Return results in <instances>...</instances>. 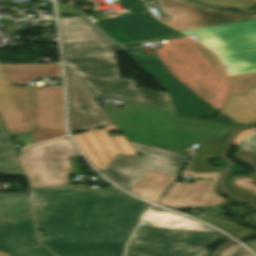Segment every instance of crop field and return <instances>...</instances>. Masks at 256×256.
Segmentation results:
<instances>
[{
	"instance_id": "obj_1",
	"label": "crop field",
	"mask_w": 256,
	"mask_h": 256,
	"mask_svg": "<svg viewBox=\"0 0 256 256\" xmlns=\"http://www.w3.org/2000/svg\"><path fill=\"white\" fill-rule=\"evenodd\" d=\"M39 237L58 256H123L140 215L150 206L123 192L71 186L30 189Z\"/></svg>"
},
{
	"instance_id": "obj_2",
	"label": "crop field",
	"mask_w": 256,
	"mask_h": 256,
	"mask_svg": "<svg viewBox=\"0 0 256 256\" xmlns=\"http://www.w3.org/2000/svg\"><path fill=\"white\" fill-rule=\"evenodd\" d=\"M64 63L92 94L174 106L168 93L134 87L135 80L119 78L115 51L121 46L99 32L85 17L59 18Z\"/></svg>"
},
{
	"instance_id": "obj_3",
	"label": "crop field",
	"mask_w": 256,
	"mask_h": 256,
	"mask_svg": "<svg viewBox=\"0 0 256 256\" xmlns=\"http://www.w3.org/2000/svg\"><path fill=\"white\" fill-rule=\"evenodd\" d=\"M61 77L60 64L0 65V115L9 132H33V143L66 135L62 86L11 87Z\"/></svg>"
},
{
	"instance_id": "obj_4",
	"label": "crop field",
	"mask_w": 256,
	"mask_h": 256,
	"mask_svg": "<svg viewBox=\"0 0 256 256\" xmlns=\"http://www.w3.org/2000/svg\"><path fill=\"white\" fill-rule=\"evenodd\" d=\"M106 114L126 139L180 153L205 137L221 140L232 127L174 118L177 110L127 102Z\"/></svg>"
},
{
	"instance_id": "obj_5",
	"label": "crop field",
	"mask_w": 256,
	"mask_h": 256,
	"mask_svg": "<svg viewBox=\"0 0 256 256\" xmlns=\"http://www.w3.org/2000/svg\"><path fill=\"white\" fill-rule=\"evenodd\" d=\"M156 58L194 93L221 111L230 92L227 76L215 56L192 39L165 41L156 53L138 56Z\"/></svg>"
},
{
	"instance_id": "obj_6",
	"label": "crop field",
	"mask_w": 256,
	"mask_h": 256,
	"mask_svg": "<svg viewBox=\"0 0 256 256\" xmlns=\"http://www.w3.org/2000/svg\"><path fill=\"white\" fill-rule=\"evenodd\" d=\"M195 34L229 66V75L256 71V19L182 31Z\"/></svg>"
},
{
	"instance_id": "obj_7",
	"label": "crop field",
	"mask_w": 256,
	"mask_h": 256,
	"mask_svg": "<svg viewBox=\"0 0 256 256\" xmlns=\"http://www.w3.org/2000/svg\"><path fill=\"white\" fill-rule=\"evenodd\" d=\"M27 193L0 194V250L10 256H55L38 242Z\"/></svg>"
},
{
	"instance_id": "obj_8",
	"label": "crop field",
	"mask_w": 256,
	"mask_h": 256,
	"mask_svg": "<svg viewBox=\"0 0 256 256\" xmlns=\"http://www.w3.org/2000/svg\"><path fill=\"white\" fill-rule=\"evenodd\" d=\"M130 143V142H129ZM143 156L119 155L102 172L118 185L130 189L148 170L178 177L189 156L131 142ZM182 165H179V164Z\"/></svg>"
},
{
	"instance_id": "obj_9",
	"label": "crop field",
	"mask_w": 256,
	"mask_h": 256,
	"mask_svg": "<svg viewBox=\"0 0 256 256\" xmlns=\"http://www.w3.org/2000/svg\"><path fill=\"white\" fill-rule=\"evenodd\" d=\"M69 157H80V154L68 137L26 148L23 160L29 186L66 184V174L71 173Z\"/></svg>"
},
{
	"instance_id": "obj_10",
	"label": "crop field",
	"mask_w": 256,
	"mask_h": 256,
	"mask_svg": "<svg viewBox=\"0 0 256 256\" xmlns=\"http://www.w3.org/2000/svg\"><path fill=\"white\" fill-rule=\"evenodd\" d=\"M130 14L113 18L98 20L95 23L110 38L119 43L146 40L179 33L156 22L145 5L140 0H120ZM145 11V13H141Z\"/></svg>"
},
{
	"instance_id": "obj_11",
	"label": "crop field",
	"mask_w": 256,
	"mask_h": 256,
	"mask_svg": "<svg viewBox=\"0 0 256 256\" xmlns=\"http://www.w3.org/2000/svg\"><path fill=\"white\" fill-rule=\"evenodd\" d=\"M124 51L169 91L175 107L179 110L175 117L195 120L194 116H211L214 112L215 109L212 106L172 76L159 59L142 62L126 49Z\"/></svg>"
},
{
	"instance_id": "obj_12",
	"label": "crop field",
	"mask_w": 256,
	"mask_h": 256,
	"mask_svg": "<svg viewBox=\"0 0 256 256\" xmlns=\"http://www.w3.org/2000/svg\"><path fill=\"white\" fill-rule=\"evenodd\" d=\"M161 10L173 18L167 25L181 31L185 29L222 24L256 18V15H242L238 13L198 7L184 0H156Z\"/></svg>"
},
{
	"instance_id": "obj_13",
	"label": "crop field",
	"mask_w": 256,
	"mask_h": 256,
	"mask_svg": "<svg viewBox=\"0 0 256 256\" xmlns=\"http://www.w3.org/2000/svg\"><path fill=\"white\" fill-rule=\"evenodd\" d=\"M65 70L71 134L112 124L72 71L66 66Z\"/></svg>"
},
{
	"instance_id": "obj_14",
	"label": "crop field",
	"mask_w": 256,
	"mask_h": 256,
	"mask_svg": "<svg viewBox=\"0 0 256 256\" xmlns=\"http://www.w3.org/2000/svg\"><path fill=\"white\" fill-rule=\"evenodd\" d=\"M113 130H118L114 124L105 126L104 130L94 129L73 136L87 158L100 170L118 154L138 155L124 136L111 137L107 133Z\"/></svg>"
},
{
	"instance_id": "obj_15",
	"label": "crop field",
	"mask_w": 256,
	"mask_h": 256,
	"mask_svg": "<svg viewBox=\"0 0 256 256\" xmlns=\"http://www.w3.org/2000/svg\"><path fill=\"white\" fill-rule=\"evenodd\" d=\"M220 236L213 233L139 226L131 240L205 249Z\"/></svg>"
},
{
	"instance_id": "obj_16",
	"label": "crop field",
	"mask_w": 256,
	"mask_h": 256,
	"mask_svg": "<svg viewBox=\"0 0 256 256\" xmlns=\"http://www.w3.org/2000/svg\"><path fill=\"white\" fill-rule=\"evenodd\" d=\"M217 179L209 181H197V183H176L159 203L165 206L208 205L215 206L223 201V198L214 193V184Z\"/></svg>"
},
{
	"instance_id": "obj_17",
	"label": "crop field",
	"mask_w": 256,
	"mask_h": 256,
	"mask_svg": "<svg viewBox=\"0 0 256 256\" xmlns=\"http://www.w3.org/2000/svg\"><path fill=\"white\" fill-rule=\"evenodd\" d=\"M219 115L237 124L256 121V85L246 95L229 97Z\"/></svg>"
},
{
	"instance_id": "obj_18",
	"label": "crop field",
	"mask_w": 256,
	"mask_h": 256,
	"mask_svg": "<svg viewBox=\"0 0 256 256\" xmlns=\"http://www.w3.org/2000/svg\"><path fill=\"white\" fill-rule=\"evenodd\" d=\"M141 221L146 222L145 226L218 233L193 220L157 208L147 211Z\"/></svg>"
},
{
	"instance_id": "obj_19",
	"label": "crop field",
	"mask_w": 256,
	"mask_h": 256,
	"mask_svg": "<svg viewBox=\"0 0 256 256\" xmlns=\"http://www.w3.org/2000/svg\"><path fill=\"white\" fill-rule=\"evenodd\" d=\"M132 247L126 256H208L207 250L142 242H129Z\"/></svg>"
},
{
	"instance_id": "obj_20",
	"label": "crop field",
	"mask_w": 256,
	"mask_h": 256,
	"mask_svg": "<svg viewBox=\"0 0 256 256\" xmlns=\"http://www.w3.org/2000/svg\"><path fill=\"white\" fill-rule=\"evenodd\" d=\"M175 179V177L149 171L129 191L150 201L157 202Z\"/></svg>"
},
{
	"instance_id": "obj_21",
	"label": "crop field",
	"mask_w": 256,
	"mask_h": 256,
	"mask_svg": "<svg viewBox=\"0 0 256 256\" xmlns=\"http://www.w3.org/2000/svg\"><path fill=\"white\" fill-rule=\"evenodd\" d=\"M0 173L7 175H24L11 141L0 121Z\"/></svg>"
},
{
	"instance_id": "obj_22",
	"label": "crop field",
	"mask_w": 256,
	"mask_h": 256,
	"mask_svg": "<svg viewBox=\"0 0 256 256\" xmlns=\"http://www.w3.org/2000/svg\"><path fill=\"white\" fill-rule=\"evenodd\" d=\"M223 142L205 140L194 153L192 162L187 168L195 173L220 171V168H211L201 162L203 155H216Z\"/></svg>"
},
{
	"instance_id": "obj_23",
	"label": "crop field",
	"mask_w": 256,
	"mask_h": 256,
	"mask_svg": "<svg viewBox=\"0 0 256 256\" xmlns=\"http://www.w3.org/2000/svg\"><path fill=\"white\" fill-rule=\"evenodd\" d=\"M229 77L232 85L230 96L246 94L256 84V73Z\"/></svg>"
},
{
	"instance_id": "obj_24",
	"label": "crop field",
	"mask_w": 256,
	"mask_h": 256,
	"mask_svg": "<svg viewBox=\"0 0 256 256\" xmlns=\"http://www.w3.org/2000/svg\"><path fill=\"white\" fill-rule=\"evenodd\" d=\"M192 215L222 229L223 231H225L233 236L255 232V230H253L251 228H243L234 223L219 221V220H215V219H211V218H207V217H203V216H199V215H195V214H192Z\"/></svg>"
},
{
	"instance_id": "obj_25",
	"label": "crop field",
	"mask_w": 256,
	"mask_h": 256,
	"mask_svg": "<svg viewBox=\"0 0 256 256\" xmlns=\"http://www.w3.org/2000/svg\"><path fill=\"white\" fill-rule=\"evenodd\" d=\"M233 144L256 154V128L252 127L242 131L236 136Z\"/></svg>"
},
{
	"instance_id": "obj_26",
	"label": "crop field",
	"mask_w": 256,
	"mask_h": 256,
	"mask_svg": "<svg viewBox=\"0 0 256 256\" xmlns=\"http://www.w3.org/2000/svg\"><path fill=\"white\" fill-rule=\"evenodd\" d=\"M233 184L256 194V175L234 176Z\"/></svg>"
},
{
	"instance_id": "obj_27",
	"label": "crop field",
	"mask_w": 256,
	"mask_h": 256,
	"mask_svg": "<svg viewBox=\"0 0 256 256\" xmlns=\"http://www.w3.org/2000/svg\"><path fill=\"white\" fill-rule=\"evenodd\" d=\"M209 3L247 8L256 3V0H204Z\"/></svg>"
},
{
	"instance_id": "obj_28",
	"label": "crop field",
	"mask_w": 256,
	"mask_h": 256,
	"mask_svg": "<svg viewBox=\"0 0 256 256\" xmlns=\"http://www.w3.org/2000/svg\"><path fill=\"white\" fill-rule=\"evenodd\" d=\"M235 157L237 160L250 165L256 174V155L239 148L235 152Z\"/></svg>"
},
{
	"instance_id": "obj_29",
	"label": "crop field",
	"mask_w": 256,
	"mask_h": 256,
	"mask_svg": "<svg viewBox=\"0 0 256 256\" xmlns=\"http://www.w3.org/2000/svg\"><path fill=\"white\" fill-rule=\"evenodd\" d=\"M220 256H252L246 250L238 245H233L222 251Z\"/></svg>"
},
{
	"instance_id": "obj_30",
	"label": "crop field",
	"mask_w": 256,
	"mask_h": 256,
	"mask_svg": "<svg viewBox=\"0 0 256 256\" xmlns=\"http://www.w3.org/2000/svg\"><path fill=\"white\" fill-rule=\"evenodd\" d=\"M226 186L233 193H235V194H237V195H239V196H241V197H243L245 199H248V200L256 203V195H254V194H252V193H250L248 191H245V190H243L241 188H238V187H236L234 185H231V184H227L226 183Z\"/></svg>"
},
{
	"instance_id": "obj_31",
	"label": "crop field",
	"mask_w": 256,
	"mask_h": 256,
	"mask_svg": "<svg viewBox=\"0 0 256 256\" xmlns=\"http://www.w3.org/2000/svg\"><path fill=\"white\" fill-rule=\"evenodd\" d=\"M218 172L216 173H205V174H195L193 172H190L188 170L184 171L182 175L190 176L194 179H201V178H214L216 177Z\"/></svg>"
},
{
	"instance_id": "obj_32",
	"label": "crop field",
	"mask_w": 256,
	"mask_h": 256,
	"mask_svg": "<svg viewBox=\"0 0 256 256\" xmlns=\"http://www.w3.org/2000/svg\"><path fill=\"white\" fill-rule=\"evenodd\" d=\"M72 173L67 175L68 185L71 184L69 175L80 174L77 158H70Z\"/></svg>"
},
{
	"instance_id": "obj_33",
	"label": "crop field",
	"mask_w": 256,
	"mask_h": 256,
	"mask_svg": "<svg viewBox=\"0 0 256 256\" xmlns=\"http://www.w3.org/2000/svg\"><path fill=\"white\" fill-rule=\"evenodd\" d=\"M200 121H209V122H216V123H220V124H224V125H228V126H232L235 127L237 125H235L234 123H232L231 121H229L226 118L220 117L218 119H197Z\"/></svg>"
},
{
	"instance_id": "obj_34",
	"label": "crop field",
	"mask_w": 256,
	"mask_h": 256,
	"mask_svg": "<svg viewBox=\"0 0 256 256\" xmlns=\"http://www.w3.org/2000/svg\"><path fill=\"white\" fill-rule=\"evenodd\" d=\"M183 37H186V36H184V35L169 36V37H162V38L151 39V40H146V41H160V40L177 39V38H183ZM146 41H140V42H146ZM135 44H138V42L124 43L121 45L127 46V45H135Z\"/></svg>"
},
{
	"instance_id": "obj_35",
	"label": "crop field",
	"mask_w": 256,
	"mask_h": 256,
	"mask_svg": "<svg viewBox=\"0 0 256 256\" xmlns=\"http://www.w3.org/2000/svg\"><path fill=\"white\" fill-rule=\"evenodd\" d=\"M256 252V241L246 243Z\"/></svg>"
},
{
	"instance_id": "obj_36",
	"label": "crop field",
	"mask_w": 256,
	"mask_h": 256,
	"mask_svg": "<svg viewBox=\"0 0 256 256\" xmlns=\"http://www.w3.org/2000/svg\"><path fill=\"white\" fill-rule=\"evenodd\" d=\"M193 207H205V206H186V207H171V208L181 209V208H193Z\"/></svg>"
},
{
	"instance_id": "obj_37",
	"label": "crop field",
	"mask_w": 256,
	"mask_h": 256,
	"mask_svg": "<svg viewBox=\"0 0 256 256\" xmlns=\"http://www.w3.org/2000/svg\"><path fill=\"white\" fill-rule=\"evenodd\" d=\"M0 256H9V255H7L6 253L0 251Z\"/></svg>"
},
{
	"instance_id": "obj_38",
	"label": "crop field",
	"mask_w": 256,
	"mask_h": 256,
	"mask_svg": "<svg viewBox=\"0 0 256 256\" xmlns=\"http://www.w3.org/2000/svg\"><path fill=\"white\" fill-rule=\"evenodd\" d=\"M82 187H87L86 185H81ZM108 189L109 188H113L112 186H109V187H107ZM98 189H101V188H98Z\"/></svg>"
},
{
	"instance_id": "obj_39",
	"label": "crop field",
	"mask_w": 256,
	"mask_h": 256,
	"mask_svg": "<svg viewBox=\"0 0 256 256\" xmlns=\"http://www.w3.org/2000/svg\"><path fill=\"white\" fill-rule=\"evenodd\" d=\"M57 5H59V3H56Z\"/></svg>"
},
{
	"instance_id": "obj_40",
	"label": "crop field",
	"mask_w": 256,
	"mask_h": 256,
	"mask_svg": "<svg viewBox=\"0 0 256 256\" xmlns=\"http://www.w3.org/2000/svg\"><path fill=\"white\" fill-rule=\"evenodd\" d=\"M256 127V126H255Z\"/></svg>"
}]
</instances>
